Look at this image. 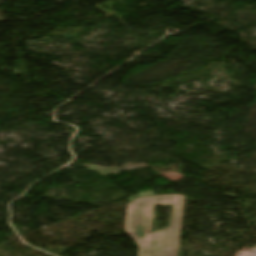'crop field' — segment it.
<instances>
[{
	"instance_id": "crop-field-1",
	"label": "crop field",
	"mask_w": 256,
	"mask_h": 256,
	"mask_svg": "<svg viewBox=\"0 0 256 256\" xmlns=\"http://www.w3.org/2000/svg\"><path fill=\"white\" fill-rule=\"evenodd\" d=\"M185 196L161 195L136 198L128 204L127 231L139 246L138 256H177ZM153 204L173 205L171 227L150 233Z\"/></svg>"
}]
</instances>
